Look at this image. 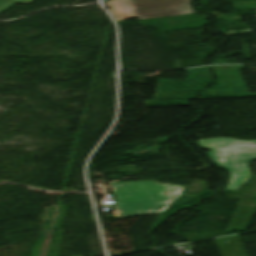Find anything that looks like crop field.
<instances>
[{
	"instance_id": "crop-field-1",
	"label": "crop field",
	"mask_w": 256,
	"mask_h": 256,
	"mask_svg": "<svg viewBox=\"0 0 256 256\" xmlns=\"http://www.w3.org/2000/svg\"><path fill=\"white\" fill-rule=\"evenodd\" d=\"M119 205L116 218L142 213H163L181 194L183 187L162 185L153 181L110 183ZM172 187L168 195L155 194L152 188Z\"/></svg>"
},
{
	"instance_id": "crop-field-2",
	"label": "crop field",
	"mask_w": 256,
	"mask_h": 256,
	"mask_svg": "<svg viewBox=\"0 0 256 256\" xmlns=\"http://www.w3.org/2000/svg\"><path fill=\"white\" fill-rule=\"evenodd\" d=\"M199 147L210 148L207 157L214 165L229 172L225 190L241 187L250 176L248 163L256 159V141L233 140L227 138L203 139L196 142ZM242 170V173L236 172Z\"/></svg>"
},
{
	"instance_id": "crop-field-3",
	"label": "crop field",
	"mask_w": 256,
	"mask_h": 256,
	"mask_svg": "<svg viewBox=\"0 0 256 256\" xmlns=\"http://www.w3.org/2000/svg\"><path fill=\"white\" fill-rule=\"evenodd\" d=\"M189 0H110L105 2L116 21L192 13Z\"/></svg>"
},
{
	"instance_id": "crop-field-4",
	"label": "crop field",
	"mask_w": 256,
	"mask_h": 256,
	"mask_svg": "<svg viewBox=\"0 0 256 256\" xmlns=\"http://www.w3.org/2000/svg\"><path fill=\"white\" fill-rule=\"evenodd\" d=\"M12 5H14V3L0 0V13L4 12L8 8H10Z\"/></svg>"
},
{
	"instance_id": "crop-field-5",
	"label": "crop field",
	"mask_w": 256,
	"mask_h": 256,
	"mask_svg": "<svg viewBox=\"0 0 256 256\" xmlns=\"http://www.w3.org/2000/svg\"><path fill=\"white\" fill-rule=\"evenodd\" d=\"M7 1H11V2H14V3H29L33 0H7Z\"/></svg>"
},
{
	"instance_id": "crop-field-6",
	"label": "crop field",
	"mask_w": 256,
	"mask_h": 256,
	"mask_svg": "<svg viewBox=\"0 0 256 256\" xmlns=\"http://www.w3.org/2000/svg\"><path fill=\"white\" fill-rule=\"evenodd\" d=\"M170 190V188H166V189H154V192L155 193H162V194H164V191H169Z\"/></svg>"
}]
</instances>
